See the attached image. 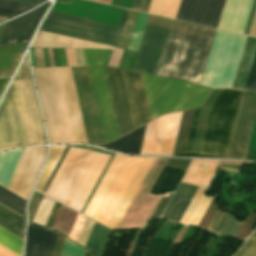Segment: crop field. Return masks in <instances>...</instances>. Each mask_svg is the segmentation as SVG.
I'll list each match as a JSON object with an SVG mask.
<instances>
[{"label":"crop field","mask_w":256,"mask_h":256,"mask_svg":"<svg viewBox=\"0 0 256 256\" xmlns=\"http://www.w3.org/2000/svg\"><path fill=\"white\" fill-rule=\"evenodd\" d=\"M71 147L111 155L109 158L108 155L69 148L45 192V195L50 196L79 212L109 158L80 210V213L83 214L114 154L85 146Z\"/></svg>","instance_id":"1"},{"label":"crop field","mask_w":256,"mask_h":256,"mask_svg":"<svg viewBox=\"0 0 256 256\" xmlns=\"http://www.w3.org/2000/svg\"><path fill=\"white\" fill-rule=\"evenodd\" d=\"M215 31L175 21L158 75L199 84Z\"/></svg>","instance_id":"2"},{"label":"crop field","mask_w":256,"mask_h":256,"mask_svg":"<svg viewBox=\"0 0 256 256\" xmlns=\"http://www.w3.org/2000/svg\"><path fill=\"white\" fill-rule=\"evenodd\" d=\"M146 95L151 118L202 106L210 89L189 83L144 75Z\"/></svg>","instance_id":"3"},{"label":"crop field","mask_w":256,"mask_h":256,"mask_svg":"<svg viewBox=\"0 0 256 256\" xmlns=\"http://www.w3.org/2000/svg\"><path fill=\"white\" fill-rule=\"evenodd\" d=\"M241 93L221 89L210 108L199 154L227 156Z\"/></svg>","instance_id":"4"},{"label":"crop field","mask_w":256,"mask_h":256,"mask_svg":"<svg viewBox=\"0 0 256 256\" xmlns=\"http://www.w3.org/2000/svg\"><path fill=\"white\" fill-rule=\"evenodd\" d=\"M128 11L119 28L49 12L40 29L117 47Z\"/></svg>","instance_id":"5"},{"label":"crop field","mask_w":256,"mask_h":256,"mask_svg":"<svg viewBox=\"0 0 256 256\" xmlns=\"http://www.w3.org/2000/svg\"><path fill=\"white\" fill-rule=\"evenodd\" d=\"M173 22L164 18L148 16L132 70L158 74Z\"/></svg>","instance_id":"6"},{"label":"crop field","mask_w":256,"mask_h":256,"mask_svg":"<svg viewBox=\"0 0 256 256\" xmlns=\"http://www.w3.org/2000/svg\"><path fill=\"white\" fill-rule=\"evenodd\" d=\"M181 114L164 115L147 124L140 155L172 156Z\"/></svg>","instance_id":"7"},{"label":"crop field","mask_w":256,"mask_h":256,"mask_svg":"<svg viewBox=\"0 0 256 256\" xmlns=\"http://www.w3.org/2000/svg\"><path fill=\"white\" fill-rule=\"evenodd\" d=\"M89 143L105 144L87 67L71 68Z\"/></svg>","instance_id":"8"},{"label":"crop field","mask_w":256,"mask_h":256,"mask_svg":"<svg viewBox=\"0 0 256 256\" xmlns=\"http://www.w3.org/2000/svg\"><path fill=\"white\" fill-rule=\"evenodd\" d=\"M24 146L26 144L12 82L0 105V150Z\"/></svg>","instance_id":"9"},{"label":"crop field","mask_w":256,"mask_h":256,"mask_svg":"<svg viewBox=\"0 0 256 256\" xmlns=\"http://www.w3.org/2000/svg\"><path fill=\"white\" fill-rule=\"evenodd\" d=\"M105 68L120 137L136 129L122 70Z\"/></svg>","instance_id":"10"},{"label":"crop field","mask_w":256,"mask_h":256,"mask_svg":"<svg viewBox=\"0 0 256 256\" xmlns=\"http://www.w3.org/2000/svg\"><path fill=\"white\" fill-rule=\"evenodd\" d=\"M256 113V93L243 91L229 157L245 159Z\"/></svg>","instance_id":"11"},{"label":"crop field","mask_w":256,"mask_h":256,"mask_svg":"<svg viewBox=\"0 0 256 256\" xmlns=\"http://www.w3.org/2000/svg\"><path fill=\"white\" fill-rule=\"evenodd\" d=\"M142 160L143 158L127 156L120 172L101 205L95 220L108 226Z\"/></svg>","instance_id":"12"},{"label":"crop field","mask_w":256,"mask_h":256,"mask_svg":"<svg viewBox=\"0 0 256 256\" xmlns=\"http://www.w3.org/2000/svg\"><path fill=\"white\" fill-rule=\"evenodd\" d=\"M44 157L45 148L24 150L8 190L27 200L43 165Z\"/></svg>","instance_id":"13"},{"label":"crop field","mask_w":256,"mask_h":256,"mask_svg":"<svg viewBox=\"0 0 256 256\" xmlns=\"http://www.w3.org/2000/svg\"><path fill=\"white\" fill-rule=\"evenodd\" d=\"M105 141L119 138L103 67H88Z\"/></svg>","instance_id":"14"},{"label":"crop field","mask_w":256,"mask_h":256,"mask_svg":"<svg viewBox=\"0 0 256 256\" xmlns=\"http://www.w3.org/2000/svg\"><path fill=\"white\" fill-rule=\"evenodd\" d=\"M225 0H182L178 20L217 27Z\"/></svg>","instance_id":"15"},{"label":"crop field","mask_w":256,"mask_h":256,"mask_svg":"<svg viewBox=\"0 0 256 256\" xmlns=\"http://www.w3.org/2000/svg\"><path fill=\"white\" fill-rule=\"evenodd\" d=\"M49 4L50 2L20 18L7 22L0 35V45L28 43L40 17Z\"/></svg>","instance_id":"16"},{"label":"crop field","mask_w":256,"mask_h":256,"mask_svg":"<svg viewBox=\"0 0 256 256\" xmlns=\"http://www.w3.org/2000/svg\"><path fill=\"white\" fill-rule=\"evenodd\" d=\"M123 72L128 88L136 126L139 127L151 121L142 76L139 73H134L130 71L123 70Z\"/></svg>","instance_id":"17"},{"label":"crop field","mask_w":256,"mask_h":256,"mask_svg":"<svg viewBox=\"0 0 256 256\" xmlns=\"http://www.w3.org/2000/svg\"><path fill=\"white\" fill-rule=\"evenodd\" d=\"M57 232L29 223L25 256H51Z\"/></svg>","instance_id":"18"},{"label":"crop field","mask_w":256,"mask_h":256,"mask_svg":"<svg viewBox=\"0 0 256 256\" xmlns=\"http://www.w3.org/2000/svg\"><path fill=\"white\" fill-rule=\"evenodd\" d=\"M126 156L115 154L110 166L102 178L97 190L89 202L84 215L94 219L101 203L103 202L109 188L111 187L118 171L120 170Z\"/></svg>","instance_id":"19"},{"label":"crop field","mask_w":256,"mask_h":256,"mask_svg":"<svg viewBox=\"0 0 256 256\" xmlns=\"http://www.w3.org/2000/svg\"><path fill=\"white\" fill-rule=\"evenodd\" d=\"M197 187L180 183L162 217L179 222Z\"/></svg>","instance_id":"20"},{"label":"crop field","mask_w":256,"mask_h":256,"mask_svg":"<svg viewBox=\"0 0 256 256\" xmlns=\"http://www.w3.org/2000/svg\"><path fill=\"white\" fill-rule=\"evenodd\" d=\"M145 126H142L135 131L117 139L114 142H111L109 144H106L104 148L124 152V153H130V154H136L139 155L142 138L145 130Z\"/></svg>","instance_id":"21"},{"label":"crop field","mask_w":256,"mask_h":256,"mask_svg":"<svg viewBox=\"0 0 256 256\" xmlns=\"http://www.w3.org/2000/svg\"><path fill=\"white\" fill-rule=\"evenodd\" d=\"M256 50V38H247L231 88L243 89Z\"/></svg>","instance_id":"22"},{"label":"crop field","mask_w":256,"mask_h":256,"mask_svg":"<svg viewBox=\"0 0 256 256\" xmlns=\"http://www.w3.org/2000/svg\"><path fill=\"white\" fill-rule=\"evenodd\" d=\"M25 219L0 205V226L22 238Z\"/></svg>","instance_id":"23"},{"label":"crop field","mask_w":256,"mask_h":256,"mask_svg":"<svg viewBox=\"0 0 256 256\" xmlns=\"http://www.w3.org/2000/svg\"><path fill=\"white\" fill-rule=\"evenodd\" d=\"M111 230L94 223L85 246L102 255Z\"/></svg>","instance_id":"24"},{"label":"crop field","mask_w":256,"mask_h":256,"mask_svg":"<svg viewBox=\"0 0 256 256\" xmlns=\"http://www.w3.org/2000/svg\"><path fill=\"white\" fill-rule=\"evenodd\" d=\"M194 111H195V109L185 111L182 114L181 123H180L179 132H178L177 141H176L175 150H174L173 155L184 154V152H185Z\"/></svg>","instance_id":"25"},{"label":"crop field","mask_w":256,"mask_h":256,"mask_svg":"<svg viewBox=\"0 0 256 256\" xmlns=\"http://www.w3.org/2000/svg\"><path fill=\"white\" fill-rule=\"evenodd\" d=\"M219 91H220V89L211 90L208 98L206 99V101L202 107L191 154H198V152H199L208 111H209V108H210L211 104L213 103L214 99L216 98L217 94L219 93Z\"/></svg>","instance_id":"26"},{"label":"crop field","mask_w":256,"mask_h":256,"mask_svg":"<svg viewBox=\"0 0 256 256\" xmlns=\"http://www.w3.org/2000/svg\"><path fill=\"white\" fill-rule=\"evenodd\" d=\"M0 202L9 208L15 210L21 215L25 216V203L26 201L7 191L0 186Z\"/></svg>","instance_id":"27"},{"label":"crop field","mask_w":256,"mask_h":256,"mask_svg":"<svg viewBox=\"0 0 256 256\" xmlns=\"http://www.w3.org/2000/svg\"><path fill=\"white\" fill-rule=\"evenodd\" d=\"M33 7L35 6L0 0V16H8L9 19Z\"/></svg>","instance_id":"28"},{"label":"crop field","mask_w":256,"mask_h":256,"mask_svg":"<svg viewBox=\"0 0 256 256\" xmlns=\"http://www.w3.org/2000/svg\"><path fill=\"white\" fill-rule=\"evenodd\" d=\"M138 14H139L138 12H134L131 10L129 11L127 21H126L118 47L125 48V49L128 48Z\"/></svg>","instance_id":"29"},{"label":"crop field","mask_w":256,"mask_h":256,"mask_svg":"<svg viewBox=\"0 0 256 256\" xmlns=\"http://www.w3.org/2000/svg\"><path fill=\"white\" fill-rule=\"evenodd\" d=\"M147 16L148 15H146V14H142V13L139 14V17H138V20H137V23H136V26L134 29V33H133V36H132V39H131L128 49L136 50V51L138 50V46H139L141 36H142L143 30H144Z\"/></svg>","instance_id":"30"},{"label":"crop field","mask_w":256,"mask_h":256,"mask_svg":"<svg viewBox=\"0 0 256 256\" xmlns=\"http://www.w3.org/2000/svg\"><path fill=\"white\" fill-rule=\"evenodd\" d=\"M87 65H104L106 50H84Z\"/></svg>","instance_id":"31"},{"label":"crop field","mask_w":256,"mask_h":256,"mask_svg":"<svg viewBox=\"0 0 256 256\" xmlns=\"http://www.w3.org/2000/svg\"><path fill=\"white\" fill-rule=\"evenodd\" d=\"M243 222L234 219V216L230 215L229 219L227 220L226 224L224 225L223 229L221 230V235H237L239 229L241 228Z\"/></svg>","instance_id":"32"},{"label":"crop field","mask_w":256,"mask_h":256,"mask_svg":"<svg viewBox=\"0 0 256 256\" xmlns=\"http://www.w3.org/2000/svg\"><path fill=\"white\" fill-rule=\"evenodd\" d=\"M228 217V214H225L218 210L217 214L215 215L207 230L219 234Z\"/></svg>","instance_id":"33"},{"label":"crop field","mask_w":256,"mask_h":256,"mask_svg":"<svg viewBox=\"0 0 256 256\" xmlns=\"http://www.w3.org/2000/svg\"><path fill=\"white\" fill-rule=\"evenodd\" d=\"M233 256H256V239L249 238Z\"/></svg>","instance_id":"34"},{"label":"crop field","mask_w":256,"mask_h":256,"mask_svg":"<svg viewBox=\"0 0 256 256\" xmlns=\"http://www.w3.org/2000/svg\"><path fill=\"white\" fill-rule=\"evenodd\" d=\"M83 250V248L73 244L68 239H65L61 256H82Z\"/></svg>","instance_id":"35"},{"label":"crop field","mask_w":256,"mask_h":256,"mask_svg":"<svg viewBox=\"0 0 256 256\" xmlns=\"http://www.w3.org/2000/svg\"><path fill=\"white\" fill-rule=\"evenodd\" d=\"M244 89L256 90V53Z\"/></svg>","instance_id":"36"},{"label":"crop field","mask_w":256,"mask_h":256,"mask_svg":"<svg viewBox=\"0 0 256 256\" xmlns=\"http://www.w3.org/2000/svg\"><path fill=\"white\" fill-rule=\"evenodd\" d=\"M180 2L181 0H168L163 16L175 19Z\"/></svg>","instance_id":"37"},{"label":"crop field","mask_w":256,"mask_h":256,"mask_svg":"<svg viewBox=\"0 0 256 256\" xmlns=\"http://www.w3.org/2000/svg\"><path fill=\"white\" fill-rule=\"evenodd\" d=\"M201 108L196 109L185 154H190Z\"/></svg>","instance_id":"38"},{"label":"crop field","mask_w":256,"mask_h":256,"mask_svg":"<svg viewBox=\"0 0 256 256\" xmlns=\"http://www.w3.org/2000/svg\"><path fill=\"white\" fill-rule=\"evenodd\" d=\"M166 3L167 0H152L148 13L162 16Z\"/></svg>","instance_id":"39"},{"label":"crop field","mask_w":256,"mask_h":256,"mask_svg":"<svg viewBox=\"0 0 256 256\" xmlns=\"http://www.w3.org/2000/svg\"><path fill=\"white\" fill-rule=\"evenodd\" d=\"M22 79H30L26 56L14 78V80H22Z\"/></svg>","instance_id":"40"},{"label":"crop field","mask_w":256,"mask_h":256,"mask_svg":"<svg viewBox=\"0 0 256 256\" xmlns=\"http://www.w3.org/2000/svg\"><path fill=\"white\" fill-rule=\"evenodd\" d=\"M150 2L151 0H134L131 9L147 13Z\"/></svg>","instance_id":"41"},{"label":"crop field","mask_w":256,"mask_h":256,"mask_svg":"<svg viewBox=\"0 0 256 256\" xmlns=\"http://www.w3.org/2000/svg\"><path fill=\"white\" fill-rule=\"evenodd\" d=\"M64 239H65V237L61 236L60 234L57 235V239H56V243H55V247H54L52 256H60L61 255Z\"/></svg>","instance_id":"42"},{"label":"crop field","mask_w":256,"mask_h":256,"mask_svg":"<svg viewBox=\"0 0 256 256\" xmlns=\"http://www.w3.org/2000/svg\"><path fill=\"white\" fill-rule=\"evenodd\" d=\"M68 66H77L74 49H65Z\"/></svg>","instance_id":"43"},{"label":"crop field","mask_w":256,"mask_h":256,"mask_svg":"<svg viewBox=\"0 0 256 256\" xmlns=\"http://www.w3.org/2000/svg\"><path fill=\"white\" fill-rule=\"evenodd\" d=\"M68 148H69V146H66V148H65V150H64V152H63V154L61 155V157H60V159H59L58 163L56 164V166H55V168H54V170H53L52 174L50 175V177H49V179H48V181H47L46 185L44 186V188H43V190H42V192H41V193H43V194H44V192H45V190H46L47 186L49 185V183H50V181H51V179H52L53 175L55 174V172H56V170H57L58 166L60 165V163H61V161H62V159H63L64 155L66 154V152H67Z\"/></svg>","instance_id":"44"},{"label":"crop field","mask_w":256,"mask_h":256,"mask_svg":"<svg viewBox=\"0 0 256 256\" xmlns=\"http://www.w3.org/2000/svg\"><path fill=\"white\" fill-rule=\"evenodd\" d=\"M255 8H256V0L253 1L252 7H251V10H250V14H249V17H248L246 26H245L244 33H243V34H245V35L248 34L249 27H250V24H251L253 15H254Z\"/></svg>","instance_id":"45"},{"label":"crop field","mask_w":256,"mask_h":256,"mask_svg":"<svg viewBox=\"0 0 256 256\" xmlns=\"http://www.w3.org/2000/svg\"><path fill=\"white\" fill-rule=\"evenodd\" d=\"M78 66L86 65L83 50L75 49Z\"/></svg>","instance_id":"46"},{"label":"crop field","mask_w":256,"mask_h":256,"mask_svg":"<svg viewBox=\"0 0 256 256\" xmlns=\"http://www.w3.org/2000/svg\"><path fill=\"white\" fill-rule=\"evenodd\" d=\"M10 1H16V2L38 5V4H40L41 2H43L45 0H10Z\"/></svg>","instance_id":"47"},{"label":"crop field","mask_w":256,"mask_h":256,"mask_svg":"<svg viewBox=\"0 0 256 256\" xmlns=\"http://www.w3.org/2000/svg\"><path fill=\"white\" fill-rule=\"evenodd\" d=\"M0 256H17V255L5 249L4 247L0 246Z\"/></svg>","instance_id":"48"},{"label":"crop field","mask_w":256,"mask_h":256,"mask_svg":"<svg viewBox=\"0 0 256 256\" xmlns=\"http://www.w3.org/2000/svg\"><path fill=\"white\" fill-rule=\"evenodd\" d=\"M22 53H23V52H21V53L18 54V56H17V58H16V60H15V62H14V64H13L11 70L9 71L7 77H9V76L12 75L14 69L16 68V66H17V64H18V62H19V60H20V57H21Z\"/></svg>","instance_id":"49"},{"label":"crop field","mask_w":256,"mask_h":256,"mask_svg":"<svg viewBox=\"0 0 256 256\" xmlns=\"http://www.w3.org/2000/svg\"><path fill=\"white\" fill-rule=\"evenodd\" d=\"M10 78H3V79H0V95L3 91V89L5 88V86L7 85L8 81H9Z\"/></svg>","instance_id":"50"},{"label":"crop field","mask_w":256,"mask_h":256,"mask_svg":"<svg viewBox=\"0 0 256 256\" xmlns=\"http://www.w3.org/2000/svg\"><path fill=\"white\" fill-rule=\"evenodd\" d=\"M43 52H44L45 64L46 66H50L47 49H43Z\"/></svg>","instance_id":"51"},{"label":"crop field","mask_w":256,"mask_h":256,"mask_svg":"<svg viewBox=\"0 0 256 256\" xmlns=\"http://www.w3.org/2000/svg\"><path fill=\"white\" fill-rule=\"evenodd\" d=\"M83 256H96V255H94L93 253H91V252H89L87 250H84Z\"/></svg>","instance_id":"52"},{"label":"crop field","mask_w":256,"mask_h":256,"mask_svg":"<svg viewBox=\"0 0 256 256\" xmlns=\"http://www.w3.org/2000/svg\"><path fill=\"white\" fill-rule=\"evenodd\" d=\"M252 238H256V231L252 234Z\"/></svg>","instance_id":"53"}]
</instances>
